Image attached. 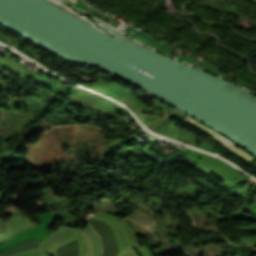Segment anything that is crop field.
<instances>
[{"label":"crop field","instance_id":"obj_1","mask_svg":"<svg viewBox=\"0 0 256 256\" xmlns=\"http://www.w3.org/2000/svg\"><path fill=\"white\" fill-rule=\"evenodd\" d=\"M185 120H186V122H188L189 124H191V125H193V126L199 128V129H201V130L207 132V133H208L209 135H211L213 138H215L216 140H218L219 142H221L223 145H225L227 148L233 150L234 152H236V153L242 155L243 157H245V158H247V159H249V160H251V161L255 159L254 157L250 156V155L247 154L246 152L242 151L243 149H242V150H240L241 148L238 149L239 147L237 148V147H236L235 145H233L231 142L227 141L226 139H224L223 137L219 136L218 134L212 132L211 130L205 128L204 126L198 124L197 122L193 121L192 119H190V118L187 117V118H185ZM251 161H250V162H251Z\"/></svg>","mask_w":256,"mask_h":256},{"label":"crop field","instance_id":"obj_2","mask_svg":"<svg viewBox=\"0 0 256 256\" xmlns=\"http://www.w3.org/2000/svg\"><path fill=\"white\" fill-rule=\"evenodd\" d=\"M0 235H1V233H0Z\"/></svg>","mask_w":256,"mask_h":256}]
</instances>
